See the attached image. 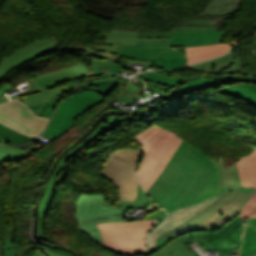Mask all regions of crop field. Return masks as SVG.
<instances>
[{
	"label": "crop field",
	"instance_id": "89e229c0",
	"mask_svg": "<svg viewBox=\"0 0 256 256\" xmlns=\"http://www.w3.org/2000/svg\"><path fill=\"white\" fill-rule=\"evenodd\" d=\"M0 166H3V167H9L8 164H4V163H0Z\"/></svg>",
	"mask_w": 256,
	"mask_h": 256
},
{
	"label": "crop field",
	"instance_id": "bd1437ed",
	"mask_svg": "<svg viewBox=\"0 0 256 256\" xmlns=\"http://www.w3.org/2000/svg\"><path fill=\"white\" fill-rule=\"evenodd\" d=\"M143 89L140 87H137L133 85L132 83H129L123 90L120 92V94L115 98V100H118L117 106L121 105L122 102H131L133 103V97L141 96Z\"/></svg>",
	"mask_w": 256,
	"mask_h": 256
},
{
	"label": "crop field",
	"instance_id": "730fd06b",
	"mask_svg": "<svg viewBox=\"0 0 256 256\" xmlns=\"http://www.w3.org/2000/svg\"><path fill=\"white\" fill-rule=\"evenodd\" d=\"M118 78L120 77H106L104 80H92L88 81L84 85L80 86L76 89V93H79L83 90H93L95 92L100 93L102 96H106V94L118 83ZM121 79H129V78H121Z\"/></svg>",
	"mask_w": 256,
	"mask_h": 256
},
{
	"label": "crop field",
	"instance_id": "92a150f3",
	"mask_svg": "<svg viewBox=\"0 0 256 256\" xmlns=\"http://www.w3.org/2000/svg\"><path fill=\"white\" fill-rule=\"evenodd\" d=\"M217 92L229 96L240 98L252 106L256 107V85L252 84H233L225 86Z\"/></svg>",
	"mask_w": 256,
	"mask_h": 256
},
{
	"label": "crop field",
	"instance_id": "d8731c3e",
	"mask_svg": "<svg viewBox=\"0 0 256 256\" xmlns=\"http://www.w3.org/2000/svg\"><path fill=\"white\" fill-rule=\"evenodd\" d=\"M105 98L93 91H83L65 99L46 130L44 137L56 139L73 124V121L84 111L101 103ZM69 130V129H68Z\"/></svg>",
	"mask_w": 256,
	"mask_h": 256
},
{
	"label": "crop field",
	"instance_id": "412701ff",
	"mask_svg": "<svg viewBox=\"0 0 256 256\" xmlns=\"http://www.w3.org/2000/svg\"><path fill=\"white\" fill-rule=\"evenodd\" d=\"M133 138L143 148V157L136 177L147 192L183 140L174 133L154 125Z\"/></svg>",
	"mask_w": 256,
	"mask_h": 256
},
{
	"label": "crop field",
	"instance_id": "d23c7cc5",
	"mask_svg": "<svg viewBox=\"0 0 256 256\" xmlns=\"http://www.w3.org/2000/svg\"><path fill=\"white\" fill-rule=\"evenodd\" d=\"M9 252H10V256H15V249L12 246L11 238H9Z\"/></svg>",
	"mask_w": 256,
	"mask_h": 256
},
{
	"label": "crop field",
	"instance_id": "22f410ed",
	"mask_svg": "<svg viewBox=\"0 0 256 256\" xmlns=\"http://www.w3.org/2000/svg\"><path fill=\"white\" fill-rule=\"evenodd\" d=\"M222 194H218L214 197H211L195 206L183 208L180 210H176L170 214H168V217L164 223H162L158 228L153 230L151 233L147 236V247L148 250L155 248V239L162 233L176 227L177 225L183 223L190 217L197 214L198 211L212 203L214 200H216L219 196Z\"/></svg>",
	"mask_w": 256,
	"mask_h": 256
},
{
	"label": "crop field",
	"instance_id": "d3111659",
	"mask_svg": "<svg viewBox=\"0 0 256 256\" xmlns=\"http://www.w3.org/2000/svg\"><path fill=\"white\" fill-rule=\"evenodd\" d=\"M143 80H147L150 82H155L161 85H166L169 87H174L175 85L178 84V82L186 79L185 76H174V77H169L162 75L157 72H149L141 75Z\"/></svg>",
	"mask_w": 256,
	"mask_h": 256
},
{
	"label": "crop field",
	"instance_id": "25e5ab78",
	"mask_svg": "<svg viewBox=\"0 0 256 256\" xmlns=\"http://www.w3.org/2000/svg\"><path fill=\"white\" fill-rule=\"evenodd\" d=\"M8 100L7 97L3 94L0 96V102Z\"/></svg>",
	"mask_w": 256,
	"mask_h": 256
},
{
	"label": "crop field",
	"instance_id": "3316defc",
	"mask_svg": "<svg viewBox=\"0 0 256 256\" xmlns=\"http://www.w3.org/2000/svg\"><path fill=\"white\" fill-rule=\"evenodd\" d=\"M50 118L33 113L19 98L0 104V123L36 139Z\"/></svg>",
	"mask_w": 256,
	"mask_h": 256
},
{
	"label": "crop field",
	"instance_id": "4177f3b9",
	"mask_svg": "<svg viewBox=\"0 0 256 256\" xmlns=\"http://www.w3.org/2000/svg\"><path fill=\"white\" fill-rule=\"evenodd\" d=\"M91 70L84 77L107 75L111 73H122L125 70L120 65L110 60L90 58Z\"/></svg>",
	"mask_w": 256,
	"mask_h": 256
},
{
	"label": "crop field",
	"instance_id": "03da06ac",
	"mask_svg": "<svg viewBox=\"0 0 256 256\" xmlns=\"http://www.w3.org/2000/svg\"><path fill=\"white\" fill-rule=\"evenodd\" d=\"M14 87L11 84L5 83L3 86L0 87V95L3 93L8 92L9 90L13 89Z\"/></svg>",
	"mask_w": 256,
	"mask_h": 256
},
{
	"label": "crop field",
	"instance_id": "00972430",
	"mask_svg": "<svg viewBox=\"0 0 256 256\" xmlns=\"http://www.w3.org/2000/svg\"><path fill=\"white\" fill-rule=\"evenodd\" d=\"M82 81H78V82H72V83H68L56 88H52L46 91H42L40 93H36L33 94L34 96L29 97V95L27 96H23L20 97V99L22 101H25L26 104L30 105V104H39V103H43V102H47L59 95H61L62 93L66 92L69 88L79 84ZM54 92H56V94H54Z\"/></svg>",
	"mask_w": 256,
	"mask_h": 256
},
{
	"label": "crop field",
	"instance_id": "028f5c9d",
	"mask_svg": "<svg viewBox=\"0 0 256 256\" xmlns=\"http://www.w3.org/2000/svg\"><path fill=\"white\" fill-rule=\"evenodd\" d=\"M238 216L241 217L242 219L255 218L256 203L247 201V203L244 205Z\"/></svg>",
	"mask_w": 256,
	"mask_h": 256
},
{
	"label": "crop field",
	"instance_id": "ac0d7876",
	"mask_svg": "<svg viewBox=\"0 0 256 256\" xmlns=\"http://www.w3.org/2000/svg\"><path fill=\"white\" fill-rule=\"evenodd\" d=\"M76 217L79 224V230L90 234L92 240L104 246L100 231L95 223L101 222H125L124 211L137 206H142L143 203L148 204L147 208L151 209L155 204L148 198L141 186L137 191L135 202L120 201V206L114 208L106 203L103 195L89 196L80 195L76 202ZM134 209V211H135ZM126 212V211H125ZM166 213L163 210H158L149 214L144 220L159 219L155 227L158 226L165 218ZM154 227V228H155ZM153 228V229H154ZM105 247V246H104Z\"/></svg>",
	"mask_w": 256,
	"mask_h": 256
},
{
	"label": "crop field",
	"instance_id": "b80d0937",
	"mask_svg": "<svg viewBox=\"0 0 256 256\" xmlns=\"http://www.w3.org/2000/svg\"><path fill=\"white\" fill-rule=\"evenodd\" d=\"M239 187H241V184H240L239 177L237 176L233 180V182L225 190L221 191L220 193L224 194L226 192L232 191V190H234L236 188H239Z\"/></svg>",
	"mask_w": 256,
	"mask_h": 256
},
{
	"label": "crop field",
	"instance_id": "9d1cf04e",
	"mask_svg": "<svg viewBox=\"0 0 256 256\" xmlns=\"http://www.w3.org/2000/svg\"><path fill=\"white\" fill-rule=\"evenodd\" d=\"M2 252H3V251H0V256H2Z\"/></svg>",
	"mask_w": 256,
	"mask_h": 256
},
{
	"label": "crop field",
	"instance_id": "8a807250",
	"mask_svg": "<svg viewBox=\"0 0 256 256\" xmlns=\"http://www.w3.org/2000/svg\"><path fill=\"white\" fill-rule=\"evenodd\" d=\"M218 190L217 166L183 141L147 194L170 212L202 201Z\"/></svg>",
	"mask_w": 256,
	"mask_h": 256
},
{
	"label": "crop field",
	"instance_id": "d1516ede",
	"mask_svg": "<svg viewBox=\"0 0 256 256\" xmlns=\"http://www.w3.org/2000/svg\"><path fill=\"white\" fill-rule=\"evenodd\" d=\"M59 41L55 38L49 40L33 43L26 46L15 53L9 55L0 63V79L9 73L17 65L24 63L26 60L37 57L45 52L56 49Z\"/></svg>",
	"mask_w": 256,
	"mask_h": 256
},
{
	"label": "crop field",
	"instance_id": "750c4746",
	"mask_svg": "<svg viewBox=\"0 0 256 256\" xmlns=\"http://www.w3.org/2000/svg\"><path fill=\"white\" fill-rule=\"evenodd\" d=\"M0 137L5 139L2 143L8 144H24L33 140L2 125H0ZM6 137H8V139H6Z\"/></svg>",
	"mask_w": 256,
	"mask_h": 256
},
{
	"label": "crop field",
	"instance_id": "e52e79f7",
	"mask_svg": "<svg viewBox=\"0 0 256 256\" xmlns=\"http://www.w3.org/2000/svg\"><path fill=\"white\" fill-rule=\"evenodd\" d=\"M140 150L121 149L113 152L99 174L113 182L118 188L120 200L134 201L138 181L134 171Z\"/></svg>",
	"mask_w": 256,
	"mask_h": 256
},
{
	"label": "crop field",
	"instance_id": "dbb93151",
	"mask_svg": "<svg viewBox=\"0 0 256 256\" xmlns=\"http://www.w3.org/2000/svg\"><path fill=\"white\" fill-rule=\"evenodd\" d=\"M254 52L256 53V40H255V43H254Z\"/></svg>",
	"mask_w": 256,
	"mask_h": 256
},
{
	"label": "crop field",
	"instance_id": "4a817a6b",
	"mask_svg": "<svg viewBox=\"0 0 256 256\" xmlns=\"http://www.w3.org/2000/svg\"><path fill=\"white\" fill-rule=\"evenodd\" d=\"M88 71L89 70L82 63H80L78 65L44 74L36 78L44 90V88L54 85L60 81L81 77L88 73Z\"/></svg>",
	"mask_w": 256,
	"mask_h": 256
},
{
	"label": "crop field",
	"instance_id": "5866460e",
	"mask_svg": "<svg viewBox=\"0 0 256 256\" xmlns=\"http://www.w3.org/2000/svg\"><path fill=\"white\" fill-rule=\"evenodd\" d=\"M208 232H194L184 236L183 243L185 245L190 244L189 242L195 241L199 246L204 245L205 237Z\"/></svg>",
	"mask_w": 256,
	"mask_h": 256
},
{
	"label": "crop field",
	"instance_id": "5d738f31",
	"mask_svg": "<svg viewBox=\"0 0 256 256\" xmlns=\"http://www.w3.org/2000/svg\"><path fill=\"white\" fill-rule=\"evenodd\" d=\"M117 46H113V45H106V46H103V47H98V48H101L103 50H106L108 52H112Z\"/></svg>",
	"mask_w": 256,
	"mask_h": 256
},
{
	"label": "crop field",
	"instance_id": "5142ce71",
	"mask_svg": "<svg viewBox=\"0 0 256 256\" xmlns=\"http://www.w3.org/2000/svg\"><path fill=\"white\" fill-rule=\"evenodd\" d=\"M243 63L239 57V53L237 49H233L226 55L215 58L212 60H208L189 68L196 71H231V72H241L247 74H254L255 72L243 70Z\"/></svg>",
	"mask_w": 256,
	"mask_h": 256
},
{
	"label": "crop field",
	"instance_id": "28ad6ade",
	"mask_svg": "<svg viewBox=\"0 0 256 256\" xmlns=\"http://www.w3.org/2000/svg\"><path fill=\"white\" fill-rule=\"evenodd\" d=\"M225 31L216 26H177L165 33H138L137 37H172L170 46H195L220 43Z\"/></svg>",
	"mask_w": 256,
	"mask_h": 256
},
{
	"label": "crop field",
	"instance_id": "c21b1889",
	"mask_svg": "<svg viewBox=\"0 0 256 256\" xmlns=\"http://www.w3.org/2000/svg\"><path fill=\"white\" fill-rule=\"evenodd\" d=\"M3 244H4L3 256H9V252H8V235H7V231L6 230H5V240H3Z\"/></svg>",
	"mask_w": 256,
	"mask_h": 256
},
{
	"label": "crop field",
	"instance_id": "0bd39190",
	"mask_svg": "<svg viewBox=\"0 0 256 256\" xmlns=\"http://www.w3.org/2000/svg\"><path fill=\"white\" fill-rule=\"evenodd\" d=\"M26 82H27V84H28L29 86H27L28 88L23 89V91H24L25 93L36 92V91L41 90V87H40V85H39L37 79L31 78V79L27 80Z\"/></svg>",
	"mask_w": 256,
	"mask_h": 256
},
{
	"label": "crop field",
	"instance_id": "120bbe31",
	"mask_svg": "<svg viewBox=\"0 0 256 256\" xmlns=\"http://www.w3.org/2000/svg\"><path fill=\"white\" fill-rule=\"evenodd\" d=\"M26 153L28 151L0 145V161L15 159Z\"/></svg>",
	"mask_w": 256,
	"mask_h": 256
},
{
	"label": "crop field",
	"instance_id": "1f2cbd36",
	"mask_svg": "<svg viewBox=\"0 0 256 256\" xmlns=\"http://www.w3.org/2000/svg\"><path fill=\"white\" fill-rule=\"evenodd\" d=\"M0 250H3L2 240H0Z\"/></svg>",
	"mask_w": 256,
	"mask_h": 256
},
{
	"label": "crop field",
	"instance_id": "34b2d1b8",
	"mask_svg": "<svg viewBox=\"0 0 256 256\" xmlns=\"http://www.w3.org/2000/svg\"><path fill=\"white\" fill-rule=\"evenodd\" d=\"M256 192V189L241 187L222 195L197 215L176 228L162 234L156 240L157 248L150 250L152 254L170 239L194 231H217L225 223L237 216L245 202Z\"/></svg>",
	"mask_w": 256,
	"mask_h": 256
},
{
	"label": "crop field",
	"instance_id": "5a996713",
	"mask_svg": "<svg viewBox=\"0 0 256 256\" xmlns=\"http://www.w3.org/2000/svg\"><path fill=\"white\" fill-rule=\"evenodd\" d=\"M112 53L131 59L150 60L162 69H177L186 64V57L168 49L167 43L136 42L135 47L118 46Z\"/></svg>",
	"mask_w": 256,
	"mask_h": 256
},
{
	"label": "crop field",
	"instance_id": "0fb4a251",
	"mask_svg": "<svg viewBox=\"0 0 256 256\" xmlns=\"http://www.w3.org/2000/svg\"><path fill=\"white\" fill-rule=\"evenodd\" d=\"M22 93H20V94H17V95H15V96H12V97H10V98H13V97H16V96H19V95H21Z\"/></svg>",
	"mask_w": 256,
	"mask_h": 256
},
{
	"label": "crop field",
	"instance_id": "eef30255",
	"mask_svg": "<svg viewBox=\"0 0 256 256\" xmlns=\"http://www.w3.org/2000/svg\"><path fill=\"white\" fill-rule=\"evenodd\" d=\"M183 236L184 235L172 239L151 256H193L188 248L183 245Z\"/></svg>",
	"mask_w": 256,
	"mask_h": 256
},
{
	"label": "crop field",
	"instance_id": "214f88e0",
	"mask_svg": "<svg viewBox=\"0 0 256 256\" xmlns=\"http://www.w3.org/2000/svg\"><path fill=\"white\" fill-rule=\"evenodd\" d=\"M137 32L126 30H112L105 34L104 42L113 45H133L135 41H159L168 42L170 38H136Z\"/></svg>",
	"mask_w": 256,
	"mask_h": 256
},
{
	"label": "crop field",
	"instance_id": "1d79db26",
	"mask_svg": "<svg viewBox=\"0 0 256 256\" xmlns=\"http://www.w3.org/2000/svg\"><path fill=\"white\" fill-rule=\"evenodd\" d=\"M35 256H42V255H40L38 252H36V255Z\"/></svg>",
	"mask_w": 256,
	"mask_h": 256
},
{
	"label": "crop field",
	"instance_id": "c035e120",
	"mask_svg": "<svg viewBox=\"0 0 256 256\" xmlns=\"http://www.w3.org/2000/svg\"><path fill=\"white\" fill-rule=\"evenodd\" d=\"M224 77L232 78V79H248V80H256V78L244 75H234V74H222Z\"/></svg>",
	"mask_w": 256,
	"mask_h": 256
},
{
	"label": "crop field",
	"instance_id": "b54c1fbb",
	"mask_svg": "<svg viewBox=\"0 0 256 256\" xmlns=\"http://www.w3.org/2000/svg\"><path fill=\"white\" fill-rule=\"evenodd\" d=\"M38 247L40 248V250H41L46 256H62V255H60V254H58V253H54V252H51V251H49V250H47V249H44L43 247H41V246H39V245H38Z\"/></svg>",
	"mask_w": 256,
	"mask_h": 256
},
{
	"label": "crop field",
	"instance_id": "bc2a9ffb",
	"mask_svg": "<svg viewBox=\"0 0 256 256\" xmlns=\"http://www.w3.org/2000/svg\"><path fill=\"white\" fill-rule=\"evenodd\" d=\"M237 167L242 186L256 188V151L242 157ZM249 201L256 202V193Z\"/></svg>",
	"mask_w": 256,
	"mask_h": 256
},
{
	"label": "crop field",
	"instance_id": "1d83c4d3",
	"mask_svg": "<svg viewBox=\"0 0 256 256\" xmlns=\"http://www.w3.org/2000/svg\"><path fill=\"white\" fill-rule=\"evenodd\" d=\"M65 94L59 96L58 98L51 100L48 103L39 104V105H31L29 107L31 108L32 111H34L38 115L50 117L54 107L56 106L58 101L64 97Z\"/></svg>",
	"mask_w": 256,
	"mask_h": 256
},
{
	"label": "crop field",
	"instance_id": "d32e631a",
	"mask_svg": "<svg viewBox=\"0 0 256 256\" xmlns=\"http://www.w3.org/2000/svg\"><path fill=\"white\" fill-rule=\"evenodd\" d=\"M62 48H72V49H80V50H84L85 52L93 55V56H98V57H103V58H107V59H111V60H115V59H119L122 60L124 62H128V63H145V64H149V67L155 66L154 63L149 62V61H136V60H130V59H126V58H122V57H114V56H110V55H102L99 54L97 52H95L93 49L90 48H81V47H62Z\"/></svg>",
	"mask_w": 256,
	"mask_h": 256
},
{
	"label": "crop field",
	"instance_id": "dd49c442",
	"mask_svg": "<svg viewBox=\"0 0 256 256\" xmlns=\"http://www.w3.org/2000/svg\"><path fill=\"white\" fill-rule=\"evenodd\" d=\"M120 122L121 120L114 117H110L109 119L103 121L91 136H89L86 140L81 142L74 149L68 152L63 158L60 159L59 163L57 164V167L55 168L52 176L50 177L44 188L45 191L43 193L40 206L38 209L39 222L37 225V236H39L41 239H46L43 234V220L44 216L46 215L47 207L52 199V195L57 183L66 179V171L69 164L73 160H75L81 152L85 151L86 149L92 147L98 141L102 140L105 131L115 127Z\"/></svg>",
	"mask_w": 256,
	"mask_h": 256
},
{
	"label": "crop field",
	"instance_id": "447ae74e",
	"mask_svg": "<svg viewBox=\"0 0 256 256\" xmlns=\"http://www.w3.org/2000/svg\"><path fill=\"white\" fill-rule=\"evenodd\" d=\"M2 60L0 59V62H1Z\"/></svg>",
	"mask_w": 256,
	"mask_h": 256
},
{
	"label": "crop field",
	"instance_id": "dafd665d",
	"mask_svg": "<svg viewBox=\"0 0 256 256\" xmlns=\"http://www.w3.org/2000/svg\"><path fill=\"white\" fill-rule=\"evenodd\" d=\"M223 83H226V81L217 80L215 78L210 77H203L198 78L195 80H192L190 82H187L185 84H182L170 97L169 99H174L176 97L193 93L202 89L214 87L217 85H221Z\"/></svg>",
	"mask_w": 256,
	"mask_h": 256
},
{
	"label": "crop field",
	"instance_id": "425ffa30",
	"mask_svg": "<svg viewBox=\"0 0 256 256\" xmlns=\"http://www.w3.org/2000/svg\"><path fill=\"white\" fill-rule=\"evenodd\" d=\"M49 250L55 251V252H58V253H61V254L66 255V256H72L71 254H69V253H67V252H64V251L55 250V249H51V248H49Z\"/></svg>",
	"mask_w": 256,
	"mask_h": 256
},
{
	"label": "crop field",
	"instance_id": "ae1a2a85",
	"mask_svg": "<svg viewBox=\"0 0 256 256\" xmlns=\"http://www.w3.org/2000/svg\"><path fill=\"white\" fill-rule=\"evenodd\" d=\"M209 159L212 160L219 167V170H220V190H219V192H220L221 190H223L224 188L227 187L228 183L236 175H238L236 162L231 167L227 168L224 165L223 158H220L219 162H216V160L213 158H209Z\"/></svg>",
	"mask_w": 256,
	"mask_h": 256
},
{
	"label": "crop field",
	"instance_id": "733c2abd",
	"mask_svg": "<svg viewBox=\"0 0 256 256\" xmlns=\"http://www.w3.org/2000/svg\"><path fill=\"white\" fill-rule=\"evenodd\" d=\"M236 41L237 39L228 44H212L188 47L185 51V55L188 58V64H186V66L222 55L232 48Z\"/></svg>",
	"mask_w": 256,
	"mask_h": 256
},
{
	"label": "crop field",
	"instance_id": "e1f06a70",
	"mask_svg": "<svg viewBox=\"0 0 256 256\" xmlns=\"http://www.w3.org/2000/svg\"><path fill=\"white\" fill-rule=\"evenodd\" d=\"M215 21L205 20V19H199V18H192L189 19L180 25H214Z\"/></svg>",
	"mask_w": 256,
	"mask_h": 256
},
{
	"label": "crop field",
	"instance_id": "a9b5d70f",
	"mask_svg": "<svg viewBox=\"0 0 256 256\" xmlns=\"http://www.w3.org/2000/svg\"><path fill=\"white\" fill-rule=\"evenodd\" d=\"M240 0H210L200 15H225L238 9Z\"/></svg>",
	"mask_w": 256,
	"mask_h": 256
},
{
	"label": "crop field",
	"instance_id": "73cf0c24",
	"mask_svg": "<svg viewBox=\"0 0 256 256\" xmlns=\"http://www.w3.org/2000/svg\"><path fill=\"white\" fill-rule=\"evenodd\" d=\"M31 155V152H29L27 155H25V156H23V157H21V158H18V159H15V160H20V159H24V158H27V157H29Z\"/></svg>",
	"mask_w": 256,
	"mask_h": 256
},
{
	"label": "crop field",
	"instance_id": "f4fd0767",
	"mask_svg": "<svg viewBox=\"0 0 256 256\" xmlns=\"http://www.w3.org/2000/svg\"><path fill=\"white\" fill-rule=\"evenodd\" d=\"M157 220L133 223H102L98 224L103 242L110 250L139 256L146 252L145 235L152 230Z\"/></svg>",
	"mask_w": 256,
	"mask_h": 256
},
{
	"label": "crop field",
	"instance_id": "cbeb9de0",
	"mask_svg": "<svg viewBox=\"0 0 256 256\" xmlns=\"http://www.w3.org/2000/svg\"><path fill=\"white\" fill-rule=\"evenodd\" d=\"M244 222L238 216L229 221L217 232H209L205 244L210 249H216L222 256H230L232 248L239 244L226 239Z\"/></svg>",
	"mask_w": 256,
	"mask_h": 256
},
{
	"label": "crop field",
	"instance_id": "d9b57169",
	"mask_svg": "<svg viewBox=\"0 0 256 256\" xmlns=\"http://www.w3.org/2000/svg\"><path fill=\"white\" fill-rule=\"evenodd\" d=\"M244 221L229 239L240 243L238 256L256 255V218Z\"/></svg>",
	"mask_w": 256,
	"mask_h": 256
}]
</instances>
